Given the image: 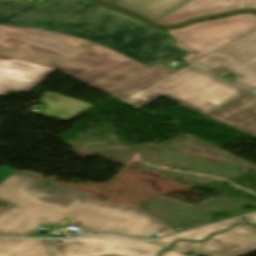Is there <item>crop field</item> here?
Listing matches in <instances>:
<instances>
[{"label":"crop field","instance_id":"obj_1","mask_svg":"<svg viewBox=\"0 0 256 256\" xmlns=\"http://www.w3.org/2000/svg\"><path fill=\"white\" fill-rule=\"evenodd\" d=\"M75 36L113 56L84 53L68 40ZM185 54L167 33L89 0H0V59L51 67L102 92Z\"/></svg>","mask_w":256,"mask_h":256},{"label":"crop field","instance_id":"obj_2","mask_svg":"<svg viewBox=\"0 0 256 256\" xmlns=\"http://www.w3.org/2000/svg\"><path fill=\"white\" fill-rule=\"evenodd\" d=\"M38 180L17 171L0 183V203L6 206L0 208L1 236L26 235L39 224L56 225L69 215L71 226L85 229L83 235L150 239L160 232L176 233L142 208L87 201L89 194L57 184L48 191L38 190L32 187Z\"/></svg>","mask_w":256,"mask_h":256},{"label":"crop field","instance_id":"obj_3","mask_svg":"<svg viewBox=\"0 0 256 256\" xmlns=\"http://www.w3.org/2000/svg\"><path fill=\"white\" fill-rule=\"evenodd\" d=\"M244 92L189 65L122 101L138 109L165 96L203 113Z\"/></svg>","mask_w":256,"mask_h":256},{"label":"crop field","instance_id":"obj_4","mask_svg":"<svg viewBox=\"0 0 256 256\" xmlns=\"http://www.w3.org/2000/svg\"><path fill=\"white\" fill-rule=\"evenodd\" d=\"M256 30V15L243 13L167 30L181 49L190 52L184 59L194 62Z\"/></svg>","mask_w":256,"mask_h":256},{"label":"crop field","instance_id":"obj_5","mask_svg":"<svg viewBox=\"0 0 256 256\" xmlns=\"http://www.w3.org/2000/svg\"><path fill=\"white\" fill-rule=\"evenodd\" d=\"M192 64L211 73L222 69L238 76L233 83L256 90V32Z\"/></svg>","mask_w":256,"mask_h":256},{"label":"crop field","instance_id":"obj_6","mask_svg":"<svg viewBox=\"0 0 256 256\" xmlns=\"http://www.w3.org/2000/svg\"><path fill=\"white\" fill-rule=\"evenodd\" d=\"M56 256H158L167 248L149 242H133L115 237H92L65 240L53 244Z\"/></svg>","mask_w":256,"mask_h":256},{"label":"crop field","instance_id":"obj_7","mask_svg":"<svg viewBox=\"0 0 256 256\" xmlns=\"http://www.w3.org/2000/svg\"><path fill=\"white\" fill-rule=\"evenodd\" d=\"M172 249L182 253L193 251L201 256H242L256 251V231L249 225H236L201 243L178 241Z\"/></svg>","mask_w":256,"mask_h":256},{"label":"crop field","instance_id":"obj_8","mask_svg":"<svg viewBox=\"0 0 256 256\" xmlns=\"http://www.w3.org/2000/svg\"><path fill=\"white\" fill-rule=\"evenodd\" d=\"M53 71L23 61L0 60V95H5L8 89L29 92Z\"/></svg>","mask_w":256,"mask_h":256},{"label":"crop field","instance_id":"obj_9","mask_svg":"<svg viewBox=\"0 0 256 256\" xmlns=\"http://www.w3.org/2000/svg\"><path fill=\"white\" fill-rule=\"evenodd\" d=\"M247 0H192L159 21V25H173L194 18L245 8Z\"/></svg>","mask_w":256,"mask_h":256},{"label":"crop field","instance_id":"obj_10","mask_svg":"<svg viewBox=\"0 0 256 256\" xmlns=\"http://www.w3.org/2000/svg\"><path fill=\"white\" fill-rule=\"evenodd\" d=\"M204 114L256 131V96L246 92Z\"/></svg>","mask_w":256,"mask_h":256},{"label":"crop field","instance_id":"obj_11","mask_svg":"<svg viewBox=\"0 0 256 256\" xmlns=\"http://www.w3.org/2000/svg\"><path fill=\"white\" fill-rule=\"evenodd\" d=\"M174 72L176 71L159 64L104 93L121 100Z\"/></svg>","mask_w":256,"mask_h":256},{"label":"crop field","instance_id":"obj_12","mask_svg":"<svg viewBox=\"0 0 256 256\" xmlns=\"http://www.w3.org/2000/svg\"><path fill=\"white\" fill-rule=\"evenodd\" d=\"M190 0H118L113 4L130 9L155 22Z\"/></svg>","mask_w":256,"mask_h":256},{"label":"crop field","instance_id":"obj_13","mask_svg":"<svg viewBox=\"0 0 256 256\" xmlns=\"http://www.w3.org/2000/svg\"><path fill=\"white\" fill-rule=\"evenodd\" d=\"M0 256H53L48 240L0 239Z\"/></svg>","mask_w":256,"mask_h":256},{"label":"crop field","instance_id":"obj_14","mask_svg":"<svg viewBox=\"0 0 256 256\" xmlns=\"http://www.w3.org/2000/svg\"><path fill=\"white\" fill-rule=\"evenodd\" d=\"M234 223H245V222L241 219H237V220L205 227V228L198 229L195 231L187 232V233L180 234L177 236H173V237H169V238H165V239H161V240H156L153 242L169 247L173 240L180 239V238H186V239H190V240H202V239L206 238L208 235H210L211 233L221 231V230L233 225Z\"/></svg>","mask_w":256,"mask_h":256},{"label":"crop field","instance_id":"obj_15","mask_svg":"<svg viewBox=\"0 0 256 256\" xmlns=\"http://www.w3.org/2000/svg\"><path fill=\"white\" fill-rule=\"evenodd\" d=\"M71 43L81 50L85 51L86 53L99 58H110L111 54L107 52L100 51L99 47L93 43L88 41H84L78 37L70 39Z\"/></svg>","mask_w":256,"mask_h":256},{"label":"crop field","instance_id":"obj_16","mask_svg":"<svg viewBox=\"0 0 256 256\" xmlns=\"http://www.w3.org/2000/svg\"><path fill=\"white\" fill-rule=\"evenodd\" d=\"M216 120H218V121H220L222 123H225V124H227L229 126H232L234 128H237V129H239V130H241V131H243V132H245V133H247L249 135H252V136L256 137V132L255 131H252V130L244 128L242 126H239V125H236V124H232V123H229V122H226V121H222V120H219V119H216Z\"/></svg>","mask_w":256,"mask_h":256},{"label":"crop field","instance_id":"obj_17","mask_svg":"<svg viewBox=\"0 0 256 256\" xmlns=\"http://www.w3.org/2000/svg\"><path fill=\"white\" fill-rule=\"evenodd\" d=\"M16 170H12L9 168L1 167L0 166V182H2L4 179L9 177L11 174H13Z\"/></svg>","mask_w":256,"mask_h":256},{"label":"crop field","instance_id":"obj_18","mask_svg":"<svg viewBox=\"0 0 256 256\" xmlns=\"http://www.w3.org/2000/svg\"><path fill=\"white\" fill-rule=\"evenodd\" d=\"M161 256H184V255H181L174 251L169 250L167 252L162 253Z\"/></svg>","mask_w":256,"mask_h":256},{"label":"crop field","instance_id":"obj_19","mask_svg":"<svg viewBox=\"0 0 256 256\" xmlns=\"http://www.w3.org/2000/svg\"><path fill=\"white\" fill-rule=\"evenodd\" d=\"M246 4L248 8H256V0H250Z\"/></svg>","mask_w":256,"mask_h":256},{"label":"crop field","instance_id":"obj_20","mask_svg":"<svg viewBox=\"0 0 256 256\" xmlns=\"http://www.w3.org/2000/svg\"><path fill=\"white\" fill-rule=\"evenodd\" d=\"M249 223H256V215L245 217Z\"/></svg>","mask_w":256,"mask_h":256},{"label":"crop field","instance_id":"obj_21","mask_svg":"<svg viewBox=\"0 0 256 256\" xmlns=\"http://www.w3.org/2000/svg\"><path fill=\"white\" fill-rule=\"evenodd\" d=\"M104 1H107V2H112V1H114V0H104Z\"/></svg>","mask_w":256,"mask_h":256},{"label":"crop field","instance_id":"obj_22","mask_svg":"<svg viewBox=\"0 0 256 256\" xmlns=\"http://www.w3.org/2000/svg\"><path fill=\"white\" fill-rule=\"evenodd\" d=\"M254 228H256V225H252Z\"/></svg>","mask_w":256,"mask_h":256}]
</instances>
